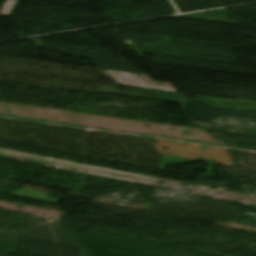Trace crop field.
<instances>
[{
  "mask_svg": "<svg viewBox=\"0 0 256 256\" xmlns=\"http://www.w3.org/2000/svg\"><path fill=\"white\" fill-rule=\"evenodd\" d=\"M108 72L111 73L115 78H117L124 85L176 92L173 88L148 86L136 75L112 72V71H108Z\"/></svg>",
  "mask_w": 256,
  "mask_h": 256,
  "instance_id": "1",
  "label": "crop field"
},
{
  "mask_svg": "<svg viewBox=\"0 0 256 256\" xmlns=\"http://www.w3.org/2000/svg\"><path fill=\"white\" fill-rule=\"evenodd\" d=\"M101 71L104 75H106L108 78H110L113 82H115L116 84L118 83L117 81H115L111 76H109L106 72H104L103 70H99Z\"/></svg>",
  "mask_w": 256,
  "mask_h": 256,
  "instance_id": "3",
  "label": "crop field"
},
{
  "mask_svg": "<svg viewBox=\"0 0 256 256\" xmlns=\"http://www.w3.org/2000/svg\"><path fill=\"white\" fill-rule=\"evenodd\" d=\"M15 0H7L2 11L0 12V15H5L7 16L14 4Z\"/></svg>",
  "mask_w": 256,
  "mask_h": 256,
  "instance_id": "2",
  "label": "crop field"
}]
</instances>
